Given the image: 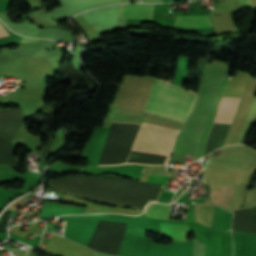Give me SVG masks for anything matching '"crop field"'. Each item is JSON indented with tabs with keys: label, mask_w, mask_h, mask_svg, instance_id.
I'll return each instance as SVG.
<instances>
[{
	"label": "crop field",
	"mask_w": 256,
	"mask_h": 256,
	"mask_svg": "<svg viewBox=\"0 0 256 256\" xmlns=\"http://www.w3.org/2000/svg\"><path fill=\"white\" fill-rule=\"evenodd\" d=\"M194 97L188 90L155 78L144 111L184 122Z\"/></svg>",
	"instance_id": "crop-field-1"
},
{
	"label": "crop field",
	"mask_w": 256,
	"mask_h": 256,
	"mask_svg": "<svg viewBox=\"0 0 256 256\" xmlns=\"http://www.w3.org/2000/svg\"><path fill=\"white\" fill-rule=\"evenodd\" d=\"M178 129L142 121L131 152L169 155Z\"/></svg>",
	"instance_id": "crop-field-2"
},
{
	"label": "crop field",
	"mask_w": 256,
	"mask_h": 256,
	"mask_svg": "<svg viewBox=\"0 0 256 256\" xmlns=\"http://www.w3.org/2000/svg\"><path fill=\"white\" fill-rule=\"evenodd\" d=\"M236 186L212 185L209 201L222 208L231 209Z\"/></svg>",
	"instance_id": "crop-field-3"
},
{
	"label": "crop field",
	"mask_w": 256,
	"mask_h": 256,
	"mask_svg": "<svg viewBox=\"0 0 256 256\" xmlns=\"http://www.w3.org/2000/svg\"><path fill=\"white\" fill-rule=\"evenodd\" d=\"M154 5L150 4H122L118 17L135 19H152Z\"/></svg>",
	"instance_id": "crop-field-4"
},
{
	"label": "crop field",
	"mask_w": 256,
	"mask_h": 256,
	"mask_svg": "<svg viewBox=\"0 0 256 256\" xmlns=\"http://www.w3.org/2000/svg\"><path fill=\"white\" fill-rule=\"evenodd\" d=\"M241 98L222 97L214 123L230 124Z\"/></svg>",
	"instance_id": "crop-field-5"
},
{
	"label": "crop field",
	"mask_w": 256,
	"mask_h": 256,
	"mask_svg": "<svg viewBox=\"0 0 256 256\" xmlns=\"http://www.w3.org/2000/svg\"><path fill=\"white\" fill-rule=\"evenodd\" d=\"M161 232L165 233L173 241H185L190 233L188 226L180 224L159 223Z\"/></svg>",
	"instance_id": "crop-field-6"
},
{
	"label": "crop field",
	"mask_w": 256,
	"mask_h": 256,
	"mask_svg": "<svg viewBox=\"0 0 256 256\" xmlns=\"http://www.w3.org/2000/svg\"><path fill=\"white\" fill-rule=\"evenodd\" d=\"M195 204V221L211 227L214 206L209 203Z\"/></svg>",
	"instance_id": "crop-field-7"
},
{
	"label": "crop field",
	"mask_w": 256,
	"mask_h": 256,
	"mask_svg": "<svg viewBox=\"0 0 256 256\" xmlns=\"http://www.w3.org/2000/svg\"><path fill=\"white\" fill-rule=\"evenodd\" d=\"M174 25L186 27L211 26L208 16H176Z\"/></svg>",
	"instance_id": "crop-field-8"
},
{
	"label": "crop field",
	"mask_w": 256,
	"mask_h": 256,
	"mask_svg": "<svg viewBox=\"0 0 256 256\" xmlns=\"http://www.w3.org/2000/svg\"><path fill=\"white\" fill-rule=\"evenodd\" d=\"M171 211V204L164 205L158 203H150L145 210V215L152 218L169 219Z\"/></svg>",
	"instance_id": "crop-field-9"
},
{
	"label": "crop field",
	"mask_w": 256,
	"mask_h": 256,
	"mask_svg": "<svg viewBox=\"0 0 256 256\" xmlns=\"http://www.w3.org/2000/svg\"><path fill=\"white\" fill-rule=\"evenodd\" d=\"M212 121H213V117H208V120H207V123H206V126H205V129H204V132H203V135L201 137V140H200V143H199V146H198V149H197V152H196V155H195V158L194 159H199L200 156H201V153H202V149H203V146H204V143H205V140H206V137H207V134L209 132V129H210V126L212 124Z\"/></svg>",
	"instance_id": "crop-field-10"
},
{
	"label": "crop field",
	"mask_w": 256,
	"mask_h": 256,
	"mask_svg": "<svg viewBox=\"0 0 256 256\" xmlns=\"http://www.w3.org/2000/svg\"><path fill=\"white\" fill-rule=\"evenodd\" d=\"M225 84H226V81L222 80V81H221V84H220V86H219V89H218V91H217V93H216V96H215V98H214V101H213V104H212V107H211V110H210L209 115H212V116L215 115L216 106H217V104H218V101H219V99H220V96H221V93H222V90H223ZM198 96H199V95L197 94V97H196V100H195V103H194V106H193L191 112L194 111V108H195V105H196Z\"/></svg>",
	"instance_id": "crop-field-11"
},
{
	"label": "crop field",
	"mask_w": 256,
	"mask_h": 256,
	"mask_svg": "<svg viewBox=\"0 0 256 256\" xmlns=\"http://www.w3.org/2000/svg\"><path fill=\"white\" fill-rule=\"evenodd\" d=\"M205 245L194 239L192 256H204Z\"/></svg>",
	"instance_id": "crop-field-12"
},
{
	"label": "crop field",
	"mask_w": 256,
	"mask_h": 256,
	"mask_svg": "<svg viewBox=\"0 0 256 256\" xmlns=\"http://www.w3.org/2000/svg\"><path fill=\"white\" fill-rule=\"evenodd\" d=\"M241 5L250 8L251 6V0H237Z\"/></svg>",
	"instance_id": "crop-field-13"
},
{
	"label": "crop field",
	"mask_w": 256,
	"mask_h": 256,
	"mask_svg": "<svg viewBox=\"0 0 256 256\" xmlns=\"http://www.w3.org/2000/svg\"><path fill=\"white\" fill-rule=\"evenodd\" d=\"M9 34L5 31V29L0 25V37L8 36Z\"/></svg>",
	"instance_id": "crop-field-14"
},
{
	"label": "crop field",
	"mask_w": 256,
	"mask_h": 256,
	"mask_svg": "<svg viewBox=\"0 0 256 256\" xmlns=\"http://www.w3.org/2000/svg\"><path fill=\"white\" fill-rule=\"evenodd\" d=\"M93 256H111V255H103V254H99V253L95 252Z\"/></svg>",
	"instance_id": "crop-field-15"
},
{
	"label": "crop field",
	"mask_w": 256,
	"mask_h": 256,
	"mask_svg": "<svg viewBox=\"0 0 256 256\" xmlns=\"http://www.w3.org/2000/svg\"><path fill=\"white\" fill-rule=\"evenodd\" d=\"M104 176H115V175H111V174H106V175H104ZM115 177H117V176H115ZM65 178V177H64ZM119 178V177H118ZM121 179V178H120ZM51 180L52 179H50V182H51ZM49 185H50V183H49Z\"/></svg>",
	"instance_id": "crop-field-16"
}]
</instances>
